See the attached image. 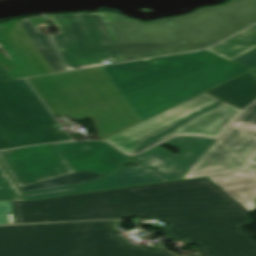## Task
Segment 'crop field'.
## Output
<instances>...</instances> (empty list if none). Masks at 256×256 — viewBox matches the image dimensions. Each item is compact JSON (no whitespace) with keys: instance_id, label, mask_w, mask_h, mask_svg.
<instances>
[{"instance_id":"8a807250","label":"crop field","mask_w":256,"mask_h":256,"mask_svg":"<svg viewBox=\"0 0 256 256\" xmlns=\"http://www.w3.org/2000/svg\"><path fill=\"white\" fill-rule=\"evenodd\" d=\"M256 25L206 49L27 78L53 115L91 116L105 138L249 69Z\"/></svg>"},{"instance_id":"ac0d7876","label":"crop field","mask_w":256,"mask_h":256,"mask_svg":"<svg viewBox=\"0 0 256 256\" xmlns=\"http://www.w3.org/2000/svg\"><path fill=\"white\" fill-rule=\"evenodd\" d=\"M15 223L138 216L164 220L173 240L203 256H256L243 231L249 213L206 178L171 181L38 201H12ZM164 222V223H165Z\"/></svg>"},{"instance_id":"34b2d1b8","label":"crop field","mask_w":256,"mask_h":256,"mask_svg":"<svg viewBox=\"0 0 256 256\" xmlns=\"http://www.w3.org/2000/svg\"><path fill=\"white\" fill-rule=\"evenodd\" d=\"M66 70L200 49L256 22V0H231L190 14L141 22L117 13L53 15Z\"/></svg>"},{"instance_id":"412701ff","label":"crop field","mask_w":256,"mask_h":256,"mask_svg":"<svg viewBox=\"0 0 256 256\" xmlns=\"http://www.w3.org/2000/svg\"><path fill=\"white\" fill-rule=\"evenodd\" d=\"M115 221L0 226V256H176L129 246L111 228Z\"/></svg>"},{"instance_id":"f4fd0767","label":"crop field","mask_w":256,"mask_h":256,"mask_svg":"<svg viewBox=\"0 0 256 256\" xmlns=\"http://www.w3.org/2000/svg\"><path fill=\"white\" fill-rule=\"evenodd\" d=\"M127 156L104 141L36 145L0 152V160L21 186L87 169L108 174Z\"/></svg>"},{"instance_id":"dd49c442","label":"crop field","mask_w":256,"mask_h":256,"mask_svg":"<svg viewBox=\"0 0 256 256\" xmlns=\"http://www.w3.org/2000/svg\"><path fill=\"white\" fill-rule=\"evenodd\" d=\"M239 112L203 93L105 139L135 154L172 135L218 136Z\"/></svg>"},{"instance_id":"e52e79f7","label":"crop field","mask_w":256,"mask_h":256,"mask_svg":"<svg viewBox=\"0 0 256 256\" xmlns=\"http://www.w3.org/2000/svg\"><path fill=\"white\" fill-rule=\"evenodd\" d=\"M24 79L11 80L0 68V150L68 140Z\"/></svg>"},{"instance_id":"d8731c3e","label":"crop field","mask_w":256,"mask_h":256,"mask_svg":"<svg viewBox=\"0 0 256 256\" xmlns=\"http://www.w3.org/2000/svg\"><path fill=\"white\" fill-rule=\"evenodd\" d=\"M256 129L232 123L183 178L207 176L221 188L256 182Z\"/></svg>"},{"instance_id":"5a996713","label":"crop field","mask_w":256,"mask_h":256,"mask_svg":"<svg viewBox=\"0 0 256 256\" xmlns=\"http://www.w3.org/2000/svg\"><path fill=\"white\" fill-rule=\"evenodd\" d=\"M0 48V67L11 79L53 72L17 20L0 24Z\"/></svg>"},{"instance_id":"3316defc","label":"crop field","mask_w":256,"mask_h":256,"mask_svg":"<svg viewBox=\"0 0 256 256\" xmlns=\"http://www.w3.org/2000/svg\"><path fill=\"white\" fill-rule=\"evenodd\" d=\"M214 141L195 136H178L164 142L182 149L178 156L160 148L162 143L132 157V160L149 167L167 180L182 179Z\"/></svg>"},{"instance_id":"28ad6ade","label":"crop field","mask_w":256,"mask_h":256,"mask_svg":"<svg viewBox=\"0 0 256 256\" xmlns=\"http://www.w3.org/2000/svg\"><path fill=\"white\" fill-rule=\"evenodd\" d=\"M167 181L146 167H123L106 177L72 185L24 191L28 199Z\"/></svg>"},{"instance_id":"d1516ede","label":"crop field","mask_w":256,"mask_h":256,"mask_svg":"<svg viewBox=\"0 0 256 256\" xmlns=\"http://www.w3.org/2000/svg\"><path fill=\"white\" fill-rule=\"evenodd\" d=\"M207 93L242 110L256 99V79L248 72L207 91Z\"/></svg>"},{"instance_id":"22f410ed","label":"crop field","mask_w":256,"mask_h":256,"mask_svg":"<svg viewBox=\"0 0 256 256\" xmlns=\"http://www.w3.org/2000/svg\"><path fill=\"white\" fill-rule=\"evenodd\" d=\"M24 27L28 35L31 37L35 45L38 47L42 55L45 57L49 65L54 72L63 71L64 68L60 62L57 52L53 46V43L49 36L42 35L36 31L35 26L32 24L29 18H23L18 20Z\"/></svg>"},{"instance_id":"cbeb9de0","label":"crop field","mask_w":256,"mask_h":256,"mask_svg":"<svg viewBox=\"0 0 256 256\" xmlns=\"http://www.w3.org/2000/svg\"><path fill=\"white\" fill-rule=\"evenodd\" d=\"M102 176H106V175L83 170V171L75 172L65 176L50 179L47 181L32 184L29 186L21 187V190L24 191V190H30V189H36V188L78 183V182H82V181H86V180H90V179H94Z\"/></svg>"},{"instance_id":"5142ce71","label":"crop field","mask_w":256,"mask_h":256,"mask_svg":"<svg viewBox=\"0 0 256 256\" xmlns=\"http://www.w3.org/2000/svg\"><path fill=\"white\" fill-rule=\"evenodd\" d=\"M248 211L256 208V184L223 189Z\"/></svg>"},{"instance_id":"d9b57169","label":"crop field","mask_w":256,"mask_h":256,"mask_svg":"<svg viewBox=\"0 0 256 256\" xmlns=\"http://www.w3.org/2000/svg\"><path fill=\"white\" fill-rule=\"evenodd\" d=\"M0 200H25L1 165Z\"/></svg>"},{"instance_id":"733c2abd","label":"crop field","mask_w":256,"mask_h":256,"mask_svg":"<svg viewBox=\"0 0 256 256\" xmlns=\"http://www.w3.org/2000/svg\"><path fill=\"white\" fill-rule=\"evenodd\" d=\"M234 123L256 128V101L247 108Z\"/></svg>"},{"instance_id":"4a817a6b","label":"crop field","mask_w":256,"mask_h":256,"mask_svg":"<svg viewBox=\"0 0 256 256\" xmlns=\"http://www.w3.org/2000/svg\"><path fill=\"white\" fill-rule=\"evenodd\" d=\"M238 63H241L245 66L253 68L256 66V48L232 59Z\"/></svg>"},{"instance_id":"bc2a9ffb","label":"crop field","mask_w":256,"mask_h":256,"mask_svg":"<svg viewBox=\"0 0 256 256\" xmlns=\"http://www.w3.org/2000/svg\"><path fill=\"white\" fill-rule=\"evenodd\" d=\"M12 211L11 201H0V223H6L4 212Z\"/></svg>"},{"instance_id":"214f88e0","label":"crop field","mask_w":256,"mask_h":256,"mask_svg":"<svg viewBox=\"0 0 256 256\" xmlns=\"http://www.w3.org/2000/svg\"><path fill=\"white\" fill-rule=\"evenodd\" d=\"M251 73L256 77V69L251 71Z\"/></svg>"},{"instance_id":"92a150f3","label":"crop field","mask_w":256,"mask_h":256,"mask_svg":"<svg viewBox=\"0 0 256 256\" xmlns=\"http://www.w3.org/2000/svg\"><path fill=\"white\" fill-rule=\"evenodd\" d=\"M255 161H256V157H255V159H254Z\"/></svg>"}]
</instances>
